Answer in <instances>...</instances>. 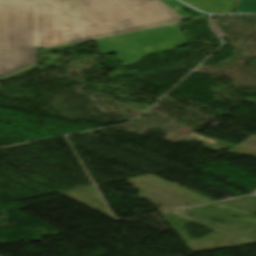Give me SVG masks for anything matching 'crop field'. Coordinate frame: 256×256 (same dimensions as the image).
<instances>
[{
	"label": "crop field",
	"instance_id": "ac0d7876",
	"mask_svg": "<svg viewBox=\"0 0 256 256\" xmlns=\"http://www.w3.org/2000/svg\"><path fill=\"white\" fill-rule=\"evenodd\" d=\"M101 53L116 52L123 65L149 54L187 45L177 23L96 40Z\"/></svg>",
	"mask_w": 256,
	"mask_h": 256
},
{
	"label": "crop field",
	"instance_id": "8a807250",
	"mask_svg": "<svg viewBox=\"0 0 256 256\" xmlns=\"http://www.w3.org/2000/svg\"><path fill=\"white\" fill-rule=\"evenodd\" d=\"M184 19L162 0H0V81L38 67L37 49Z\"/></svg>",
	"mask_w": 256,
	"mask_h": 256
},
{
	"label": "crop field",
	"instance_id": "34b2d1b8",
	"mask_svg": "<svg viewBox=\"0 0 256 256\" xmlns=\"http://www.w3.org/2000/svg\"><path fill=\"white\" fill-rule=\"evenodd\" d=\"M199 9L212 13H232L238 0H183Z\"/></svg>",
	"mask_w": 256,
	"mask_h": 256
},
{
	"label": "crop field",
	"instance_id": "412701ff",
	"mask_svg": "<svg viewBox=\"0 0 256 256\" xmlns=\"http://www.w3.org/2000/svg\"><path fill=\"white\" fill-rule=\"evenodd\" d=\"M235 12H256V0H241Z\"/></svg>",
	"mask_w": 256,
	"mask_h": 256
}]
</instances>
